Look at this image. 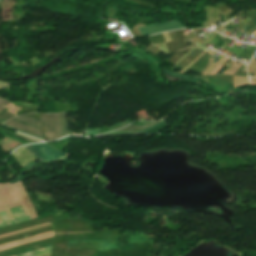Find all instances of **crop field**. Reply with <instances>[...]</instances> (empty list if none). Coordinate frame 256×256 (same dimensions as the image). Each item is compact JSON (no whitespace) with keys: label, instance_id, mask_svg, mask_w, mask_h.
Here are the masks:
<instances>
[{"label":"crop field","instance_id":"crop-field-1","mask_svg":"<svg viewBox=\"0 0 256 256\" xmlns=\"http://www.w3.org/2000/svg\"><path fill=\"white\" fill-rule=\"evenodd\" d=\"M40 134H44L42 140L47 141L61 137V129L58 114H42L40 122Z\"/></svg>","mask_w":256,"mask_h":256},{"label":"crop field","instance_id":"crop-field-2","mask_svg":"<svg viewBox=\"0 0 256 256\" xmlns=\"http://www.w3.org/2000/svg\"><path fill=\"white\" fill-rule=\"evenodd\" d=\"M24 147L29 149L40 160V162L44 160L59 159L67 155V153L52 148L50 145L46 143L29 145Z\"/></svg>","mask_w":256,"mask_h":256},{"label":"crop field","instance_id":"crop-field-3","mask_svg":"<svg viewBox=\"0 0 256 256\" xmlns=\"http://www.w3.org/2000/svg\"><path fill=\"white\" fill-rule=\"evenodd\" d=\"M178 28H186L183 26L180 22V20L167 22V23H160V24H153L148 26L139 27V31L142 36L158 33V32H164L172 29H178Z\"/></svg>","mask_w":256,"mask_h":256},{"label":"crop field","instance_id":"crop-field-4","mask_svg":"<svg viewBox=\"0 0 256 256\" xmlns=\"http://www.w3.org/2000/svg\"><path fill=\"white\" fill-rule=\"evenodd\" d=\"M4 124H6V125H8L10 127L19 129V130H23V131L29 132L31 134H34V135H37V136L40 137V134H39V131H38L37 128L31 127V126H28V125H25V124H22V123L13 121V120L7 121Z\"/></svg>","mask_w":256,"mask_h":256},{"label":"crop field","instance_id":"crop-field-5","mask_svg":"<svg viewBox=\"0 0 256 256\" xmlns=\"http://www.w3.org/2000/svg\"><path fill=\"white\" fill-rule=\"evenodd\" d=\"M163 71L165 73V77L171 81H177L179 79H183V78H194L195 77H190V76H183V75H180V74H174L170 71H168L167 69L163 68Z\"/></svg>","mask_w":256,"mask_h":256},{"label":"crop field","instance_id":"crop-field-6","mask_svg":"<svg viewBox=\"0 0 256 256\" xmlns=\"http://www.w3.org/2000/svg\"><path fill=\"white\" fill-rule=\"evenodd\" d=\"M14 119L21 120V121H24V122H27V123H29V124H33V125L39 127V120L34 119V118H32V117H29V116H27V115L20 116V117H15Z\"/></svg>","mask_w":256,"mask_h":256},{"label":"crop field","instance_id":"crop-field-7","mask_svg":"<svg viewBox=\"0 0 256 256\" xmlns=\"http://www.w3.org/2000/svg\"><path fill=\"white\" fill-rule=\"evenodd\" d=\"M61 115H62V121H63V127H64L65 136H66V135H70L65 112H64V113H61Z\"/></svg>","mask_w":256,"mask_h":256},{"label":"crop field","instance_id":"crop-field-8","mask_svg":"<svg viewBox=\"0 0 256 256\" xmlns=\"http://www.w3.org/2000/svg\"><path fill=\"white\" fill-rule=\"evenodd\" d=\"M141 126H137V125H133V124H130L122 129H119V130H116V131H133L137 128H140Z\"/></svg>","mask_w":256,"mask_h":256},{"label":"crop field","instance_id":"crop-field-9","mask_svg":"<svg viewBox=\"0 0 256 256\" xmlns=\"http://www.w3.org/2000/svg\"><path fill=\"white\" fill-rule=\"evenodd\" d=\"M11 102L7 101V100H4L2 99L0 101V111L3 110L7 105H9Z\"/></svg>","mask_w":256,"mask_h":256},{"label":"crop field","instance_id":"crop-field-10","mask_svg":"<svg viewBox=\"0 0 256 256\" xmlns=\"http://www.w3.org/2000/svg\"><path fill=\"white\" fill-rule=\"evenodd\" d=\"M161 121H163V120H161ZM161 121H158V122H155V123L148 124V125L144 126L143 128H141V129H139V130H136V131H133V132H131V133H136V132H138V131H140V130H142V129H144V128H147V127H149V126H152V125H154V124H156V123H159V122H161ZM131 133H130V134H131Z\"/></svg>","mask_w":256,"mask_h":256},{"label":"crop field","instance_id":"crop-field-11","mask_svg":"<svg viewBox=\"0 0 256 256\" xmlns=\"http://www.w3.org/2000/svg\"><path fill=\"white\" fill-rule=\"evenodd\" d=\"M162 124H164V122H162V123H160V124H157V125H154V126H152V127H149V128H147V129H145V130H143V131H140V132H138V133L146 132V131L151 130V129H153V128L159 126V125H162Z\"/></svg>","mask_w":256,"mask_h":256},{"label":"crop field","instance_id":"crop-field-12","mask_svg":"<svg viewBox=\"0 0 256 256\" xmlns=\"http://www.w3.org/2000/svg\"><path fill=\"white\" fill-rule=\"evenodd\" d=\"M98 134H99L98 128L91 129V135H98Z\"/></svg>","mask_w":256,"mask_h":256},{"label":"crop field","instance_id":"crop-field-13","mask_svg":"<svg viewBox=\"0 0 256 256\" xmlns=\"http://www.w3.org/2000/svg\"><path fill=\"white\" fill-rule=\"evenodd\" d=\"M129 132H111V133H108V134H128ZM103 135H106V134H103Z\"/></svg>","mask_w":256,"mask_h":256},{"label":"crop field","instance_id":"crop-field-14","mask_svg":"<svg viewBox=\"0 0 256 256\" xmlns=\"http://www.w3.org/2000/svg\"><path fill=\"white\" fill-rule=\"evenodd\" d=\"M15 136L20 137V138H22V139H25V140H27V141H29V142H35V141H33V140H30V139H27V138L21 137V136H19V135H17V134H15Z\"/></svg>","mask_w":256,"mask_h":256},{"label":"crop field","instance_id":"crop-field-15","mask_svg":"<svg viewBox=\"0 0 256 256\" xmlns=\"http://www.w3.org/2000/svg\"><path fill=\"white\" fill-rule=\"evenodd\" d=\"M4 125V124H3ZM6 126V125H5ZM13 129V128H12ZM14 130H16V129H14ZM16 131H19V130H16ZM19 132H22V133H25V134H28V133H26V132H23V131H19ZM28 135H31V134H28ZM33 136V135H32ZM36 137V136H35ZM37 138H39V137H37ZM41 139V138H40Z\"/></svg>","mask_w":256,"mask_h":256},{"label":"crop field","instance_id":"crop-field-16","mask_svg":"<svg viewBox=\"0 0 256 256\" xmlns=\"http://www.w3.org/2000/svg\"><path fill=\"white\" fill-rule=\"evenodd\" d=\"M0 100H1V98H0Z\"/></svg>","mask_w":256,"mask_h":256}]
</instances>
